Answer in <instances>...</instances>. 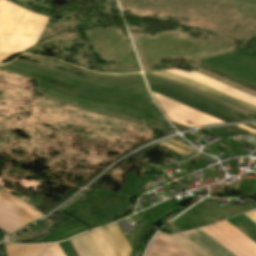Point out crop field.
Instances as JSON below:
<instances>
[{
	"mask_svg": "<svg viewBox=\"0 0 256 256\" xmlns=\"http://www.w3.org/2000/svg\"><path fill=\"white\" fill-rule=\"evenodd\" d=\"M40 214L24 203L0 193V229L10 234Z\"/></svg>",
	"mask_w": 256,
	"mask_h": 256,
	"instance_id": "8a807250",
	"label": "crop field"
},
{
	"mask_svg": "<svg viewBox=\"0 0 256 256\" xmlns=\"http://www.w3.org/2000/svg\"><path fill=\"white\" fill-rule=\"evenodd\" d=\"M146 256H194L170 237L159 233L152 242Z\"/></svg>",
	"mask_w": 256,
	"mask_h": 256,
	"instance_id": "ac0d7876",
	"label": "crop field"
},
{
	"mask_svg": "<svg viewBox=\"0 0 256 256\" xmlns=\"http://www.w3.org/2000/svg\"><path fill=\"white\" fill-rule=\"evenodd\" d=\"M195 231L196 232L185 234L184 236L210 256H233L199 229H195Z\"/></svg>",
	"mask_w": 256,
	"mask_h": 256,
	"instance_id": "34b2d1b8",
	"label": "crop field"
},
{
	"mask_svg": "<svg viewBox=\"0 0 256 256\" xmlns=\"http://www.w3.org/2000/svg\"><path fill=\"white\" fill-rule=\"evenodd\" d=\"M150 73L158 75V76L166 77V78H169V79H173V80L178 81L180 83L187 84V85H189L191 87H194V88H196V89H198L200 91L206 92L208 94L214 95L216 97L222 98L224 100L230 101V102L235 103L237 105L243 106V107L251 109L253 111H256V107L255 106H252V105H249L247 103L241 102L239 100H236V99L230 98L228 96L222 95V94H220L218 92H215V91H213V90H211L209 88H206V87H204V86H202L200 84H197V83H195V82H193L191 80H188V79H186L184 77L172 75V74L166 73L164 71L150 72Z\"/></svg>",
	"mask_w": 256,
	"mask_h": 256,
	"instance_id": "412701ff",
	"label": "crop field"
},
{
	"mask_svg": "<svg viewBox=\"0 0 256 256\" xmlns=\"http://www.w3.org/2000/svg\"><path fill=\"white\" fill-rule=\"evenodd\" d=\"M102 230L118 256H130L131 247L127 243L117 224L103 227Z\"/></svg>",
	"mask_w": 256,
	"mask_h": 256,
	"instance_id": "f4fd0767",
	"label": "crop field"
},
{
	"mask_svg": "<svg viewBox=\"0 0 256 256\" xmlns=\"http://www.w3.org/2000/svg\"><path fill=\"white\" fill-rule=\"evenodd\" d=\"M79 256H101L89 233L70 239Z\"/></svg>",
	"mask_w": 256,
	"mask_h": 256,
	"instance_id": "dd49c442",
	"label": "crop field"
},
{
	"mask_svg": "<svg viewBox=\"0 0 256 256\" xmlns=\"http://www.w3.org/2000/svg\"><path fill=\"white\" fill-rule=\"evenodd\" d=\"M53 244L20 246L5 244L7 256H40L42 252Z\"/></svg>",
	"mask_w": 256,
	"mask_h": 256,
	"instance_id": "e52e79f7",
	"label": "crop field"
},
{
	"mask_svg": "<svg viewBox=\"0 0 256 256\" xmlns=\"http://www.w3.org/2000/svg\"><path fill=\"white\" fill-rule=\"evenodd\" d=\"M47 232V219L45 218L43 221L39 222L35 226L31 227L29 230L17 235L14 238L9 239L10 241H25L34 239L41 234Z\"/></svg>",
	"mask_w": 256,
	"mask_h": 256,
	"instance_id": "d8731c3e",
	"label": "crop field"
},
{
	"mask_svg": "<svg viewBox=\"0 0 256 256\" xmlns=\"http://www.w3.org/2000/svg\"><path fill=\"white\" fill-rule=\"evenodd\" d=\"M90 234L103 256H117L101 229L90 231Z\"/></svg>",
	"mask_w": 256,
	"mask_h": 256,
	"instance_id": "5a996713",
	"label": "crop field"
},
{
	"mask_svg": "<svg viewBox=\"0 0 256 256\" xmlns=\"http://www.w3.org/2000/svg\"><path fill=\"white\" fill-rule=\"evenodd\" d=\"M173 238L177 243H179L182 247L190 251L196 256H209L204 251H202L200 248H198L196 245H194L191 241H189L187 238H185L180 233L175 234L173 236H170Z\"/></svg>",
	"mask_w": 256,
	"mask_h": 256,
	"instance_id": "3316defc",
	"label": "crop field"
},
{
	"mask_svg": "<svg viewBox=\"0 0 256 256\" xmlns=\"http://www.w3.org/2000/svg\"><path fill=\"white\" fill-rule=\"evenodd\" d=\"M204 233H206L209 237H211L213 240H215L217 243H219L222 247H224L226 250H228L231 254L234 256H243L239 252H237L234 248H232L230 245H228L226 242H224L222 239H220L217 235H215L213 232H211L206 227L200 228Z\"/></svg>",
	"mask_w": 256,
	"mask_h": 256,
	"instance_id": "28ad6ade",
	"label": "crop field"
},
{
	"mask_svg": "<svg viewBox=\"0 0 256 256\" xmlns=\"http://www.w3.org/2000/svg\"><path fill=\"white\" fill-rule=\"evenodd\" d=\"M158 145H161V146L166 147V148H169V149H173L175 152H177V153H179V154H181V155H184V156H187V155L191 154V153H189V152H187V151H184V150H182V149L176 148V147L171 146V145H169V144H166V143H164V142H161V143L158 144Z\"/></svg>",
	"mask_w": 256,
	"mask_h": 256,
	"instance_id": "d1516ede",
	"label": "crop field"
},
{
	"mask_svg": "<svg viewBox=\"0 0 256 256\" xmlns=\"http://www.w3.org/2000/svg\"><path fill=\"white\" fill-rule=\"evenodd\" d=\"M165 142H168V143H171V144L180 146V147L185 148V149H187V150H189V151H192V152H194V153H197V152H198V151L195 150L194 148H192V147H190V146H188V145H185V144L178 143V142H176V141H174V140H172V139H169V140H167V141H165Z\"/></svg>",
	"mask_w": 256,
	"mask_h": 256,
	"instance_id": "22f410ed",
	"label": "crop field"
},
{
	"mask_svg": "<svg viewBox=\"0 0 256 256\" xmlns=\"http://www.w3.org/2000/svg\"><path fill=\"white\" fill-rule=\"evenodd\" d=\"M245 215H247L249 218H251L254 222H256V210L255 211H251V212H247ZM250 219V220H251Z\"/></svg>",
	"mask_w": 256,
	"mask_h": 256,
	"instance_id": "cbeb9de0",
	"label": "crop field"
},
{
	"mask_svg": "<svg viewBox=\"0 0 256 256\" xmlns=\"http://www.w3.org/2000/svg\"><path fill=\"white\" fill-rule=\"evenodd\" d=\"M42 256H52L49 250H46Z\"/></svg>",
	"mask_w": 256,
	"mask_h": 256,
	"instance_id": "5142ce71",
	"label": "crop field"
},
{
	"mask_svg": "<svg viewBox=\"0 0 256 256\" xmlns=\"http://www.w3.org/2000/svg\"><path fill=\"white\" fill-rule=\"evenodd\" d=\"M253 126H256V124H252Z\"/></svg>",
	"mask_w": 256,
	"mask_h": 256,
	"instance_id": "d9b57169",
	"label": "crop field"
}]
</instances>
